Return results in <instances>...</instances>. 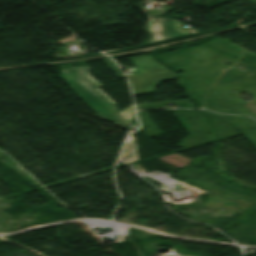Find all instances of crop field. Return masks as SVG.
Here are the masks:
<instances>
[{"mask_svg":"<svg viewBox=\"0 0 256 256\" xmlns=\"http://www.w3.org/2000/svg\"><path fill=\"white\" fill-rule=\"evenodd\" d=\"M129 60L141 71L137 76L128 77L134 96L154 93L162 81L177 77L149 55Z\"/></svg>","mask_w":256,"mask_h":256,"instance_id":"2","label":"crop field"},{"mask_svg":"<svg viewBox=\"0 0 256 256\" xmlns=\"http://www.w3.org/2000/svg\"><path fill=\"white\" fill-rule=\"evenodd\" d=\"M106 66L114 73V75L119 78L123 77V73L118 69V67L112 61H103Z\"/></svg>","mask_w":256,"mask_h":256,"instance_id":"4","label":"crop field"},{"mask_svg":"<svg viewBox=\"0 0 256 256\" xmlns=\"http://www.w3.org/2000/svg\"><path fill=\"white\" fill-rule=\"evenodd\" d=\"M75 65L60 67L63 73L60 76L66 80L67 85L99 117L128 130L133 106L119 112L115 108L116 103L99 89L103 86L88 75L90 68L87 63ZM77 66L83 67L77 68Z\"/></svg>","mask_w":256,"mask_h":256,"instance_id":"1","label":"crop field"},{"mask_svg":"<svg viewBox=\"0 0 256 256\" xmlns=\"http://www.w3.org/2000/svg\"><path fill=\"white\" fill-rule=\"evenodd\" d=\"M152 1H157V0H152Z\"/></svg>","mask_w":256,"mask_h":256,"instance_id":"6","label":"crop field"},{"mask_svg":"<svg viewBox=\"0 0 256 256\" xmlns=\"http://www.w3.org/2000/svg\"><path fill=\"white\" fill-rule=\"evenodd\" d=\"M148 13V15L150 16V17H152V16H156V15H160V14H164V13H167V12H169V11H171L170 9H164V10H162V11H159V12H152L151 10H146Z\"/></svg>","mask_w":256,"mask_h":256,"instance_id":"5","label":"crop field"},{"mask_svg":"<svg viewBox=\"0 0 256 256\" xmlns=\"http://www.w3.org/2000/svg\"><path fill=\"white\" fill-rule=\"evenodd\" d=\"M146 30L151 34V38L146 44L198 32L191 27L187 29L183 28L176 20H167L163 18H153V21Z\"/></svg>","mask_w":256,"mask_h":256,"instance_id":"3","label":"crop field"}]
</instances>
